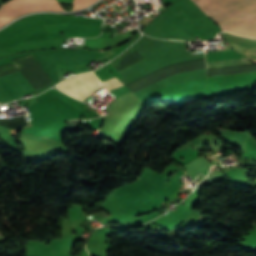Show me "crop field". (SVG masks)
Returning <instances> with one entry per match:
<instances>
[{"instance_id": "crop-field-2", "label": "crop field", "mask_w": 256, "mask_h": 256, "mask_svg": "<svg viewBox=\"0 0 256 256\" xmlns=\"http://www.w3.org/2000/svg\"><path fill=\"white\" fill-rule=\"evenodd\" d=\"M120 85L122 83L116 78L101 82L94 72H90L69 78L57 88L82 101L103 87L110 91Z\"/></svg>"}, {"instance_id": "crop-field-7", "label": "crop field", "mask_w": 256, "mask_h": 256, "mask_svg": "<svg viewBox=\"0 0 256 256\" xmlns=\"http://www.w3.org/2000/svg\"><path fill=\"white\" fill-rule=\"evenodd\" d=\"M95 0H73V8L72 10L83 8L94 2ZM68 10V11H72Z\"/></svg>"}, {"instance_id": "crop-field-5", "label": "crop field", "mask_w": 256, "mask_h": 256, "mask_svg": "<svg viewBox=\"0 0 256 256\" xmlns=\"http://www.w3.org/2000/svg\"><path fill=\"white\" fill-rule=\"evenodd\" d=\"M227 42L232 44L233 50L245 55L256 63V40L243 38L231 35L229 33H222Z\"/></svg>"}, {"instance_id": "crop-field-1", "label": "crop field", "mask_w": 256, "mask_h": 256, "mask_svg": "<svg viewBox=\"0 0 256 256\" xmlns=\"http://www.w3.org/2000/svg\"><path fill=\"white\" fill-rule=\"evenodd\" d=\"M192 1L217 23L222 31L256 38V0Z\"/></svg>"}, {"instance_id": "crop-field-4", "label": "crop field", "mask_w": 256, "mask_h": 256, "mask_svg": "<svg viewBox=\"0 0 256 256\" xmlns=\"http://www.w3.org/2000/svg\"><path fill=\"white\" fill-rule=\"evenodd\" d=\"M34 11H63L57 0H10L0 6V27Z\"/></svg>"}, {"instance_id": "crop-field-3", "label": "crop field", "mask_w": 256, "mask_h": 256, "mask_svg": "<svg viewBox=\"0 0 256 256\" xmlns=\"http://www.w3.org/2000/svg\"><path fill=\"white\" fill-rule=\"evenodd\" d=\"M103 20L56 14H36L19 20L0 31V40L39 24L79 23L101 25Z\"/></svg>"}, {"instance_id": "crop-field-6", "label": "crop field", "mask_w": 256, "mask_h": 256, "mask_svg": "<svg viewBox=\"0 0 256 256\" xmlns=\"http://www.w3.org/2000/svg\"><path fill=\"white\" fill-rule=\"evenodd\" d=\"M207 69L252 64L247 59L206 62Z\"/></svg>"}]
</instances>
